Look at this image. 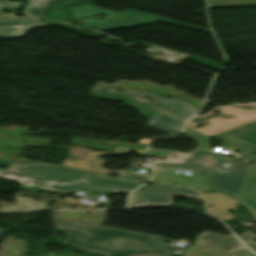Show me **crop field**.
Masks as SVG:
<instances>
[{
  "instance_id": "24",
  "label": "crop field",
  "mask_w": 256,
  "mask_h": 256,
  "mask_svg": "<svg viewBox=\"0 0 256 256\" xmlns=\"http://www.w3.org/2000/svg\"><path fill=\"white\" fill-rule=\"evenodd\" d=\"M232 251L236 256H256V255L252 254L251 252H249L245 248L235 249Z\"/></svg>"
},
{
  "instance_id": "13",
  "label": "crop field",
  "mask_w": 256,
  "mask_h": 256,
  "mask_svg": "<svg viewBox=\"0 0 256 256\" xmlns=\"http://www.w3.org/2000/svg\"><path fill=\"white\" fill-rule=\"evenodd\" d=\"M196 243L224 247L229 249L242 246V244L233 235L221 236L210 231L199 235L196 238Z\"/></svg>"
},
{
  "instance_id": "10",
  "label": "crop field",
  "mask_w": 256,
  "mask_h": 256,
  "mask_svg": "<svg viewBox=\"0 0 256 256\" xmlns=\"http://www.w3.org/2000/svg\"><path fill=\"white\" fill-rule=\"evenodd\" d=\"M49 24L25 17L0 15V35L16 37L23 35L31 27L48 26Z\"/></svg>"
},
{
  "instance_id": "12",
  "label": "crop field",
  "mask_w": 256,
  "mask_h": 256,
  "mask_svg": "<svg viewBox=\"0 0 256 256\" xmlns=\"http://www.w3.org/2000/svg\"><path fill=\"white\" fill-rule=\"evenodd\" d=\"M239 202L248 204L256 213V167L251 166L241 189Z\"/></svg>"
},
{
  "instance_id": "27",
  "label": "crop field",
  "mask_w": 256,
  "mask_h": 256,
  "mask_svg": "<svg viewBox=\"0 0 256 256\" xmlns=\"http://www.w3.org/2000/svg\"><path fill=\"white\" fill-rule=\"evenodd\" d=\"M151 140L150 139H142L139 142H143V143H149Z\"/></svg>"
},
{
  "instance_id": "16",
  "label": "crop field",
  "mask_w": 256,
  "mask_h": 256,
  "mask_svg": "<svg viewBox=\"0 0 256 256\" xmlns=\"http://www.w3.org/2000/svg\"><path fill=\"white\" fill-rule=\"evenodd\" d=\"M56 0H28L23 14L40 18L48 6Z\"/></svg>"
},
{
  "instance_id": "4",
  "label": "crop field",
  "mask_w": 256,
  "mask_h": 256,
  "mask_svg": "<svg viewBox=\"0 0 256 256\" xmlns=\"http://www.w3.org/2000/svg\"><path fill=\"white\" fill-rule=\"evenodd\" d=\"M106 15L108 16L106 21H100L99 19L87 20V21L79 20V23L82 25L96 27L102 30H107V29L127 27V26L150 24L154 22V19H156L159 21L167 22V23H172V24H176L184 27H189L197 30L210 32V30L208 29L174 22V21H171L169 18L148 14L144 12L134 11L130 9H127L122 13L116 12V13H110Z\"/></svg>"
},
{
  "instance_id": "7",
  "label": "crop field",
  "mask_w": 256,
  "mask_h": 256,
  "mask_svg": "<svg viewBox=\"0 0 256 256\" xmlns=\"http://www.w3.org/2000/svg\"><path fill=\"white\" fill-rule=\"evenodd\" d=\"M221 110V113L227 114V115H233L237 117L236 119H224L220 117H215L208 119L207 121L210 122V125L203 128H195L189 124H186L187 126L207 135L211 136L232 128H235L237 126L252 122L256 120V109L253 110H247V109H240L236 106H229V107H220L217 108Z\"/></svg>"
},
{
  "instance_id": "14",
  "label": "crop field",
  "mask_w": 256,
  "mask_h": 256,
  "mask_svg": "<svg viewBox=\"0 0 256 256\" xmlns=\"http://www.w3.org/2000/svg\"><path fill=\"white\" fill-rule=\"evenodd\" d=\"M9 207L10 209H7ZM46 202H38L32 198L16 197V203L0 201V212H15L25 210H45Z\"/></svg>"
},
{
  "instance_id": "3",
  "label": "crop field",
  "mask_w": 256,
  "mask_h": 256,
  "mask_svg": "<svg viewBox=\"0 0 256 256\" xmlns=\"http://www.w3.org/2000/svg\"><path fill=\"white\" fill-rule=\"evenodd\" d=\"M183 134L200 141L198 148L186 154L166 150L148 149L145 154L166 157L163 163H186L204 166L212 189L238 199L242 184L250 164L230 158L218 157L217 152L210 150V139L185 126ZM204 158L207 159L204 161ZM230 165L227 171L218 167Z\"/></svg>"
},
{
  "instance_id": "28",
  "label": "crop field",
  "mask_w": 256,
  "mask_h": 256,
  "mask_svg": "<svg viewBox=\"0 0 256 256\" xmlns=\"http://www.w3.org/2000/svg\"><path fill=\"white\" fill-rule=\"evenodd\" d=\"M3 230H0V233L2 232Z\"/></svg>"
},
{
  "instance_id": "6",
  "label": "crop field",
  "mask_w": 256,
  "mask_h": 256,
  "mask_svg": "<svg viewBox=\"0 0 256 256\" xmlns=\"http://www.w3.org/2000/svg\"><path fill=\"white\" fill-rule=\"evenodd\" d=\"M215 136L225 142L222 148L241 151V159L256 164V122Z\"/></svg>"
},
{
  "instance_id": "5",
  "label": "crop field",
  "mask_w": 256,
  "mask_h": 256,
  "mask_svg": "<svg viewBox=\"0 0 256 256\" xmlns=\"http://www.w3.org/2000/svg\"><path fill=\"white\" fill-rule=\"evenodd\" d=\"M94 90H98V91H105V92H110V93H114V94H118L121 96H125L128 98H132L135 100L140 101L141 103L181 122V123H185L189 118H191L196 111L193 110L194 107L180 102L174 98L171 99H167V98H161L158 96H155L151 93L148 92H140V91H135L133 93H128V94H124V93H120V92H116L113 91L110 88H105V87H99L96 86ZM143 96H147L151 99H153V102L149 101V100H143L141 97Z\"/></svg>"
},
{
  "instance_id": "18",
  "label": "crop field",
  "mask_w": 256,
  "mask_h": 256,
  "mask_svg": "<svg viewBox=\"0 0 256 256\" xmlns=\"http://www.w3.org/2000/svg\"><path fill=\"white\" fill-rule=\"evenodd\" d=\"M210 7L256 5V0H208Z\"/></svg>"
},
{
  "instance_id": "21",
  "label": "crop field",
  "mask_w": 256,
  "mask_h": 256,
  "mask_svg": "<svg viewBox=\"0 0 256 256\" xmlns=\"http://www.w3.org/2000/svg\"><path fill=\"white\" fill-rule=\"evenodd\" d=\"M155 168H186L205 172L203 167L186 164H155Z\"/></svg>"
},
{
  "instance_id": "17",
  "label": "crop field",
  "mask_w": 256,
  "mask_h": 256,
  "mask_svg": "<svg viewBox=\"0 0 256 256\" xmlns=\"http://www.w3.org/2000/svg\"><path fill=\"white\" fill-rule=\"evenodd\" d=\"M69 10L72 13V15L74 16V18L113 12L111 10L97 8V7L88 6V5L71 7V8H69Z\"/></svg>"
},
{
  "instance_id": "25",
  "label": "crop field",
  "mask_w": 256,
  "mask_h": 256,
  "mask_svg": "<svg viewBox=\"0 0 256 256\" xmlns=\"http://www.w3.org/2000/svg\"><path fill=\"white\" fill-rule=\"evenodd\" d=\"M253 235L250 232L242 234L239 238L246 244Z\"/></svg>"
},
{
  "instance_id": "23",
  "label": "crop field",
  "mask_w": 256,
  "mask_h": 256,
  "mask_svg": "<svg viewBox=\"0 0 256 256\" xmlns=\"http://www.w3.org/2000/svg\"><path fill=\"white\" fill-rule=\"evenodd\" d=\"M114 173H118L122 177H128V178H134V179H142V180H146V181H148L150 179V177H151L149 175H143V174L135 173V170L120 171V172L114 171Z\"/></svg>"
},
{
  "instance_id": "26",
  "label": "crop field",
  "mask_w": 256,
  "mask_h": 256,
  "mask_svg": "<svg viewBox=\"0 0 256 256\" xmlns=\"http://www.w3.org/2000/svg\"><path fill=\"white\" fill-rule=\"evenodd\" d=\"M5 8H18V4L5 3L2 5Z\"/></svg>"
},
{
  "instance_id": "20",
  "label": "crop field",
  "mask_w": 256,
  "mask_h": 256,
  "mask_svg": "<svg viewBox=\"0 0 256 256\" xmlns=\"http://www.w3.org/2000/svg\"><path fill=\"white\" fill-rule=\"evenodd\" d=\"M146 146L118 143L113 154H126L130 150L143 153Z\"/></svg>"
},
{
  "instance_id": "15",
  "label": "crop field",
  "mask_w": 256,
  "mask_h": 256,
  "mask_svg": "<svg viewBox=\"0 0 256 256\" xmlns=\"http://www.w3.org/2000/svg\"><path fill=\"white\" fill-rule=\"evenodd\" d=\"M88 152H89L88 155H86L83 161L77 160L76 162H68L65 165L84 168V169H90L97 172L112 173V171L101 168L106 161L98 159L97 156L100 153L112 154L113 152H94V151H88Z\"/></svg>"
},
{
  "instance_id": "9",
  "label": "crop field",
  "mask_w": 256,
  "mask_h": 256,
  "mask_svg": "<svg viewBox=\"0 0 256 256\" xmlns=\"http://www.w3.org/2000/svg\"><path fill=\"white\" fill-rule=\"evenodd\" d=\"M173 195H179L184 198L200 199L198 194L156 192V191L139 188L137 191L131 194L129 205L130 206L172 205L171 199Z\"/></svg>"
},
{
  "instance_id": "22",
  "label": "crop field",
  "mask_w": 256,
  "mask_h": 256,
  "mask_svg": "<svg viewBox=\"0 0 256 256\" xmlns=\"http://www.w3.org/2000/svg\"><path fill=\"white\" fill-rule=\"evenodd\" d=\"M143 188H149V189H154V190H168V191H180V192H192V193H197L194 190H190V189H183V188H176V187H170V186H165V185H161V184H157L155 183V185L153 187H149V186H141Z\"/></svg>"
},
{
  "instance_id": "19",
  "label": "crop field",
  "mask_w": 256,
  "mask_h": 256,
  "mask_svg": "<svg viewBox=\"0 0 256 256\" xmlns=\"http://www.w3.org/2000/svg\"><path fill=\"white\" fill-rule=\"evenodd\" d=\"M106 175L107 174H104V173L93 172L90 177L91 178H96V179L112 181V182L128 184V185H134V186L140 185L139 182H137L138 180L136 181L134 179H128V178H122V177L114 178V177H109V176H106Z\"/></svg>"
},
{
  "instance_id": "2",
  "label": "crop field",
  "mask_w": 256,
  "mask_h": 256,
  "mask_svg": "<svg viewBox=\"0 0 256 256\" xmlns=\"http://www.w3.org/2000/svg\"><path fill=\"white\" fill-rule=\"evenodd\" d=\"M0 164L9 166L6 170L0 169V177L16 180L24 189L36 193L40 190H45L66 194L82 187L113 193H128L134 189L133 187L86 179L90 174L89 171L72 167L44 162H33L23 165L1 161ZM78 182H84L85 185H80Z\"/></svg>"
},
{
  "instance_id": "8",
  "label": "crop field",
  "mask_w": 256,
  "mask_h": 256,
  "mask_svg": "<svg viewBox=\"0 0 256 256\" xmlns=\"http://www.w3.org/2000/svg\"><path fill=\"white\" fill-rule=\"evenodd\" d=\"M91 96L102 98V99H107V100L115 99V100L123 101L126 103L130 102V103H127V105H129V106L137 109L141 113H143L144 117L157 121L156 123L149 122L148 123L149 126H152L154 128L160 129L165 132H168L172 135H175L181 131L179 129L174 128L175 126H177L181 123L174 121V120L152 110L151 108H149L135 100L128 99V98L121 97V96L114 95V94L111 95V94L105 93V92H98V91H93Z\"/></svg>"
},
{
  "instance_id": "1",
  "label": "crop field",
  "mask_w": 256,
  "mask_h": 256,
  "mask_svg": "<svg viewBox=\"0 0 256 256\" xmlns=\"http://www.w3.org/2000/svg\"><path fill=\"white\" fill-rule=\"evenodd\" d=\"M53 222L54 231L69 233L64 244L73 247L107 256H129L136 253L171 255L167 246L153 235L65 220ZM135 243L145 248L132 250Z\"/></svg>"
},
{
  "instance_id": "11",
  "label": "crop field",
  "mask_w": 256,
  "mask_h": 256,
  "mask_svg": "<svg viewBox=\"0 0 256 256\" xmlns=\"http://www.w3.org/2000/svg\"><path fill=\"white\" fill-rule=\"evenodd\" d=\"M207 203V213L217 217L222 221L233 218L232 215L226 213L227 210H233L236 200L226 197L220 193L201 194ZM213 206V208H209Z\"/></svg>"
}]
</instances>
